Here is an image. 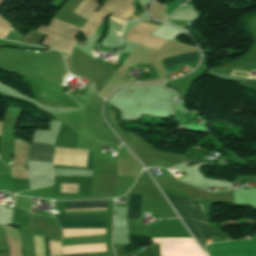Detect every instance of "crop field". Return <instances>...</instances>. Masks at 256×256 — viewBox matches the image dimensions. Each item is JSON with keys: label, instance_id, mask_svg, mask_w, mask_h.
Segmentation results:
<instances>
[{"label": "crop field", "instance_id": "obj_1", "mask_svg": "<svg viewBox=\"0 0 256 256\" xmlns=\"http://www.w3.org/2000/svg\"><path fill=\"white\" fill-rule=\"evenodd\" d=\"M107 200L66 201L65 210L106 208ZM57 221L106 219V214L55 216ZM62 229L105 227L106 220L58 222ZM67 256H88L87 253Z\"/></svg>", "mask_w": 256, "mask_h": 256}, {"label": "crop field", "instance_id": "obj_2", "mask_svg": "<svg viewBox=\"0 0 256 256\" xmlns=\"http://www.w3.org/2000/svg\"><path fill=\"white\" fill-rule=\"evenodd\" d=\"M37 31L47 35L41 44L69 54L80 28L52 18L47 27L40 26Z\"/></svg>", "mask_w": 256, "mask_h": 256}, {"label": "crop field", "instance_id": "obj_3", "mask_svg": "<svg viewBox=\"0 0 256 256\" xmlns=\"http://www.w3.org/2000/svg\"><path fill=\"white\" fill-rule=\"evenodd\" d=\"M157 27L138 21L127 31L122 40L160 50L168 41L148 36Z\"/></svg>", "mask_w": 256, "mask_h": 256}, {"label": "crop field", "instance_id": "obj_4", "mask_svg": "<svg viewBox=\"0 0 256 256\" xmlns=\"http://www.w3.org/2000/svg\"><path fill=\"white\" fill-rule=\"evenodd\" d=\"M165 195L168 197L173 208L176 210L180 217L196 218L198 220L207 222L201 204L168 194Z\"/></svg>", "mask_w": 256, "mask_h": 256}, {"label": "crop field", "instance_id": "obj_5", "mask_svg": "<svg viewBox=\"0 0 256 256\" xmlns=\"http://www.w3.org/2000/svg\"><path fill=\"white\" fill-rule=\"evenodd\" d=\"M88 150L55 148L54 156L87 158ZM54 157L53 163L59 165L86 167L87 159Z\"/></svg>", "mask_w": 256, "mask_h": 256}, {"label": "crop field", "instance_id": "obj_6", "mask_svg": "<svg viewBox=\"0 0 256 256\" xmlns=\"http://www.w3.org/2000/svg\"><path fill=\"white\" fill-rule=\"evenodd\" d=\"M185 225L197 240H208V239H216L222 238L219 234H217L209 224L195 221L192 219H183Z\"/></svg>", "mask_w": 256, "mask_h": 256}, {"label": "crop field", "instance_id": "obj_7", "mask_svg": "<svg viewBox=\"0 0 256 256\" xmlns=\"http://www.w3.org/2000/svg\"><path fill=\"white\" fill-rule=\"evenodd\" d=\"M53 147L51 145L32 143L28 160L52 162Z\"/></svg>", "mask_w": 256, "mask_h": 256}, {"label": "crop field", "instance_id": "obj_8", "mask_svg": "<svg viewBox=\"0 0 256 256\" xmlns=\"http://www.w3.org/2000/svg\"><path fill=\"white\" fill-rule=\"evenodd\" d=\"M109 12L98 10L94 16L89 20V22L84 26L81 30L83 35L86 38H90L96 28L100 25V23L107 17Z\"/></svg>", "mask_w": 256, "mask_h": 256}, {"label": "crop field", "instance_id": "obj_9", "mask_svg": "<svg viewBox=\"0 0 256 256\" xmlns=\"http://www.w3.org/2000/svg\"><path fill=\"white\" fill-rule=\"evenodd\" d=\"M100 6L96 0H83L74 13L89 20Z\"/></svg>", "mask_w": 256, "mask_h": 256}, {"label": "crop field", "instance_id": "obj_10", "mask_svg": "<svg viewBox=\"0 0 256 256\" xmlns=\"http://www.w3.org/2000/svg\"><path fill=\"white\" fill-rule=\"evenodd\" d=\"M140 201H141V195H130L127 219L129 220L139 219Z\"/></svg>", "mask_w": 256, "mask_h": 256}, {"label": "crop field", "instance_id": "obj_11", "mask_svg": "<svg viewBox=\"0 0 256 256\" xmlns=\"http://www.w3.org/2000/svg\"><path fill=\"white\" fill-rule=\"evenodd\" d=\"M132 2L133 0H126L111 18L124 23L135 10L133 7H131Z\"/></svg>", "mask_w": 256, "mask_h": 256}, {"label": "crop field", "instance_id": "obj_12", "mask_svg": "<svg viewBox=\"0 0 256 256\" xmlns=\"http://www.w3.org/2000/svg\"><path fill=\"white\" fill-rule=\"evenodd\" d=\"M166 67H171L177 64L195 61V52L184 54L180 56H174L163 60Z\"/></svg>", "mask_w": 256, "mask_h": 256}, {"label": "crop field", "instance_id": "obj_13", "mask_svg": "<svg viewBox=\"0 0 256 256\" xmlns=\"http://www.w3.org/2000/svg\"><path fill=\"white\" fill-rule=\"evenodd\" d=\"M124 0H107L102 6L101 9L112 12L116 10Z\"/></svg>", "mask_w": 256, "mask_h": 256}, {"label": "crop field", "instance_id": "obj_14", "mask_svg": "<svg viewBox=\"0 0 256 256\" xmlns=\"http://www.w3.org/2000/svg\"><path fill=\"white\" fill-rule=\"evenodd\" d=\"M4 0H0V5ZM12 28L3 17L0 16V38H3L7 32ZM9 33V32H8Z\"/></svg>", "mask_w": 256, "mask_h": 256}, {"label": "crop field", "instance_id": "obj_15", "mask_svg": "<svg viewBox=\"0 0 256 256\" xmlns=\"http://www.w3.org/2000/svg\"><path fill=\"white\" fill-rule=\"evenodd\" d=\"M49 255H61L60 242L48 240Z\"/></svg>", "mask_w": 256, "mask_h": 256}, {"label": "crop field", "instance_id": "obj_16", "mask_svg": "<svg viewBox=\"0 0 256 256\" xmlns=\"http://www.w3.org/2000/svg\"><path fill=\"white\" fill-rule=\"evenodd\" d=\"M54 168H74V169H82L85 170L86 168H81V167H70V166H59V165H54ZM87 170H92V150L89 152V161H88V169Z\"/></svg>", "mask_w": 256, "mask_h": 256}, {"label": "crop field", "instance_id": "obj_17", "mask_svg": "<svg viewBox=\"0 0 256 256\" xmlns=\"http://www.w3.org/2000/svg\"><path fill=\"white\" fill-rule=\"evenodd\" d=\"M61 188H78V185L61 184ZM78 189H61V192H77Z\"/></svg>", "mask_w": 256, "mask_h": 256}, {"label": "crop field", "instance_id": "obj_18", "mask_svg": "<svg viewBox=\"0 0 256 256\" xmlns=\"http://www.w3.org/2000/svg\"><path fill=\"white\" fill-rule=\"evenodd\" d=\"M0 256H9L8 250L0 251Z\"/></svg>", "mask_w": 256, "mask_h": 256}, {"label": "crop field", "instance_id": "obj_19", "mask_svg": "<svg viewBox=\"0 0 256 256\" xmlns=\"http://www.w3.org/2000/svg\"><path fill=\"white\" fill-rule=\"evenodd\" d=\"M67 74H68V73H67ZM67 74H66V75H67ZM66 75H64L62 78L64 79V78L66 77Z\"/></svg>", "mask_w": 256, "mask_h": 256}, {"label": "crop field", "instance_id": "obj_20", "mask_svg": "<svg viewBox=\"0 0 256 256\" xmlns=\"http://www.w3.org/2000/svg\"><path fill=\"white\" fill-rule=\"evenodd\" d=\"M0 125H1V121H0Z\"/></svg>", "mask_w": 256, "mask_h": 256}]
</instances>
